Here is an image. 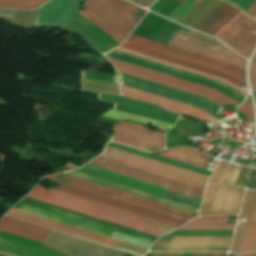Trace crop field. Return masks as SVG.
Wrapping results in <instances>:
<instances>
[{"mask_svg":"<svg viewBox=\"0 0 256 256\" xmlns=\"http://www.w3.org/2000/svg\"><path fill=\"white\" fill-rule=\"evenodd\" d=\"M89 176H93L102 180H106L112 183H116L125 187H129L138 191H142L148 194H152L160 197L165 187H161L155 184H151L142 180H138L129 176H125L119 173H115L106 169H102L92 165H85L83 168L74 170ZM161 198L169 199L172 201L180 202L194 207H200L201 198L194 197L188 194H184L178 191H174L166 188Z\"/></svg>","mask_w":256,"mask_h":256,"instance_id":"5","label":"crop field"},{"mask_svg":"<svg viewBox=\"0 0 256 256\" xmlns=\"http://www.w3.org/2000/svg\"><path fill=\"white\" fill-rule=\"evenodd\" d=\"M229 166H230L229 163H226L224 168L217 166V168H216L214 174L212 175L208 184L221 183V181H222L225 173L227 172Z\"/></svg>","mask_w":256,"mask_h":256,"instance_id":"41","label":"crop field"},{"mask_svg":"<svg viewBox=\"0 0 256 256\" xmlns=\"http://www.w3.org/2000/svg\"><path fill=\"white\" fill-rule=\"evenodd\" d=\"M105 56L112 57L121 61H125L131 64H135L144 68H148L157 72H161L170 76H174L183 80H187L193 83H197L206 87H210L216 89L223 94L239 101L242 103L246 97V95L238 92L237 90L231 88L230 86L213 79H209L206 77H202L199 75H195L192 73H188L179 69H175L163 64H159L144 58H140L125 52H121L118 50H111L108 53L104 54Z\"/></svg>","mask_w":256,"mask_h":256,"instance_id":"7","label":"crop field"},{"mask_svg":"<svg viewBox=\"0 0 256 256\" xmlns=\"http://www.w3.org/2000/svg\"><path fill=\"white\" fill-rule=\"evenodd\" d=\"M230 2L231 0H225ZM254 0H232L230 3L241 9L242 11H246V9L251 5Z\"/></svg>","mask_w":256,"mask_h":256,"instance_id":"43","label":"crop field"},{"mask_svg":"<svg viewBox=\"0 0 256 256\" xmlns=\"http://www.w3.org/2000/svg\"><path fill=\"white\" fill-rule=\"evenodd\" d=\"M99 99L103 101H108L115 103V107L113 109L169 122L175 123L177 119L180 117L179 115L167 112L161 108L152 106L150 104L134 101L124 97H117L111 95H103L99 94Z\"/></svg>","mask_w":256,"mask_h":256,"instance_id":"16","label":"crop field"},{"mask_svg":"<svg viewBox=\"0 0 256 256\" xmlns=\"http://www.w3.org/2000/svg\"><path fill=\"white\" fill-rule=\"evenodd\" d=\"M244 188L221 185L214 214H238Z\"/></svg>","mask_w":256,"mask_h":256,"instance_id":"26","label":"crop field"},{"mask_svg":"<svg viewBox=\"0 0 256 256\" xmlns=\"http://www.w3.org/2000/svg\"><path fill=\"white\" fill-rule=\"evenodd\" d=\"M86 9L126 38L140 18L139 7L124 0H87Z\"/></svg>","mask_w":256,"mask_h":256,"instance_id":"8","label":"crop field"},{"mask_svg":"<svg viewBox=\"0 0 256 256\" xmlns=\"http://www.w3.org/2000/svg\"><path fill=\"white\" fill-rule=\"evenodd\" d=\"M228 215L204 216L191 220L178 229H234L235 225H225Z\"/></svg>","mask_w":256,"mask_h":256,"instance_id":"28","label":"crop field"},{"mask_svg":"<svg viewBox=\"0 0 256 256\" xmlns=\"http://www.w3.org/2000/svg\"><path fill=\"white\" fill-rule=\"evenodd\" d=\"M0 243L14 246V247L24 249L27 251H31V252L41 254L44 256H62V255H64V254H62L44 244H42V245H44L62 255L42 246L40 243L33 242V241H30V240H27V239H24L21 237H17V236H14V235H11V234H8L5 232H1V231H0ZM3 244H0V251H2V252H6V253L13 254L16 256H41V255H37V254L31 253V252H27V251L20 250V249L10 247L7 245H3ZM64 256H66V255H64Z\"/></svg>","mask_w":256,"mask_h":256,"instance_id":"20","label":"crop field"},{"mask_svg":"<svg viewBox=\"0 0 256 256\" xmlns=\"http://www.w3.org/2000/svg\"><path fill=\"white\" fill-rule=\"evenodd\" d=\"M1 254H4V255H7V256H13V255H9V254H6V253H2V252H0Z\"/></svg>","mask_w":256,"mask_h":256,"instance_id":"52","label":"crop field"},{"mask_svg":"<svg viewBox=\"0 0 256 256\" xmlns=\"http://www.w3.org/2000/svg\"><path fill=\"white\" fill-rule=\"evenodd\" d=\"M117 77L121 84L128 85L137 89H141L150 93H154L163 97H167L176 101H180L189 105L196 106L209 114L223 120L218 115L220 110L223 108L205 98L198 97L186 92H182L170 87H166L157 83H153L141 78H137L125 73L117 71Z\"/></svg>","mask_w":256,"mask_h":256,"instance_id":"9","label":"crop field"},{"mask_svg":"<svg viewBox=\"0 0 256 256\" xmlns=\"http://www.w3.org/2000/svg\"><path fill=\"white\" fill-rule=\"evenodd\" d=\"M160 156L205 168L210 156L190 148L164 150Z\"/></svg>","mask_w":256,"mask_h":256,"instance_id":"27","label":"crop field"},{"mask_svg":"<svg viewBox=\"0 0 256 256\" xmlns=\"http://www.w3.org/2000/svg\"><path fill=\"white\" fill-rule=\"evenodd\" d=\"M81 14H83L85 17H87L89 20H91L93 23H95L97 26H99L101 29H103L105 32H107L109 35H111L113 38H115L120 43L125 39L121 35H119L117 32H115L113 29H111L109 26H107L105 23H103L101 20H99L97 17H95L93 14H91L87 10H77Z\"/></svg>","mask_w":256,"mask_h":256,"instance_id":"37","label":"crop field"},{"mask_svg":"<svg viewBox=\"0 0 256 256\" xmlns=\"http://www.w3.org/2000/svg\"><path fill=\"white\" fill-rule=\"evenodd\" d=\"M214 36L248 58L256 45V21L240 12Z\"/></svg>","mask_w":256,"mask_h":256,"instance_id":"11","label":"crop field"},{"mask_svg":"<svg viewBox=\"0 0 256 256\" xmlns=\"http://www.w3.org/2000/svg\"><path fill=\"white\" fill-rule=\"evenodd\" d=\"M255 204L256 191L246 190L230 252L241 253L244 251Z\"/></svg>","mask_w":256,"mask_h":256,"instance_id":"22","label":"crop field"},{"mask_svg":"<svg viewBox=\"0 0 256 256\" xmlns=\"http://www.w3.org/2000/svg\"><path fill=\"white\" fill-rule=\"evenodd\" d=\"M256 250V208L253 216V220L251 223L245 251H255Z\"/></svg>","mask_w":256,"mask_h":256,"instance_id":"38","label":"crop field"},{"mask_svg":"<svg viewBox=\"0 0 256 256\" xmlns=\"http://www.w3.org/2000/svg\"><path fill=\"white\" fill-rule=\"evenodd\" d=\"M253 19H255V20H256V16H255Z\"/></svg>","mask_w":256,"mask_h":256,"instance_id":"54","label":"crop field"},{"mask_svg":"<svg viewBox=\"0 0 256 256\" xmlns=\"http://www.w3.org/2000/svg\"><path fill=\"white\" fill-rule=\"evenodd\" d=\"M250 69H252L256 72V53L251 61Z\"/></svg>","mask_w":256,"mask_h":256,"instance_id":"46","label":"crop field"},{"mask_svg":"<svg viewBox=\"0 0 256 256\" xmlns=\"http://www.w3.org/2000/svg\"><path fill=\"white\" fill-rule=\"evenodd\" d=\"M250 78L256 82V73L250 71Z\"/></svg>","mask_w":256,"mask_h":256,"instance_id":"49","label":"crop field"},{"mask_svg":"<svg viewBox=\"0 0 256 256\" xmlns=\"http://www.w3.org/2000/svg\"><path fill=\"white\" fill-rule=\"evenodd\" d=\"M220 185L206 186L199 215L213 214Z\"/></svg>","mask_w":256,"mask_h":256,"instance_id":"32","label":"crop field"},{"mask_svg":"<svg viewBox=\"0 0 256 256\" xmlns=\"http://www.w3.org/2000/svg\"><path fill=\"white\" fill-rule=\"evenodd\" d=\"M154 253H147L145 256H152Z\"/></svg>","mask_w":256,"mask_h":256,"instance_id":"51","label":"crop field"},{"mask_svg":"<svg viewBox=\"0 0 256 256\" xmlns=\"http://www.w3.org/2000/svg\"><path fill=\"white\" fill-rule=\"evenodd\" d=\"M117 134L111 140L148 151L154 147L164 148V133L153 132L131 124L119 122Z\"/></svg>","mask_w":256,"mask_h":256,"instance_id":"15","label":"crop field"},{"mask_svg":"<svg viewBox=\"0 0 256 256\" xmlns=\"http://www.w3.org/2000/svg\"><path fill=\"white\" fill-rule=\"evenodd\" d=\"M201 0H185L180 4L167 18L178 22L184 17L192 8H194Z\"/></svg>","mask_w":256,"mask_h":256,"instance_id":"35","label":"crop field"},{"mask_svg":"<svg viewBox=\"0 0 256 256\" xmlns=\"http://www.w3.org/2000/svg\"><path fill=\"white\" fill-rule=\"evenodd\" d=\"M231 238L161 237L149 251H228Z\"/></svg>","mask_w":256,"mask_h":256,"instance_id":"14","label":"crop field"},{"mask_svg":"<svg viewBox=\"0 0 256 256\" xmlns=\"http://www.w3.org/2000/svg\"><path fill=\"white\" fill-rule=\"evenodd\" d=\"M247 15H249L250 17H254L256 14V1L253 3V5L248 9V11L246 12Z\"/></svg>","mask_w":256,"mask_h":256,"instance_id":"45","label":"crop field"},{"mask_svg":"<svg viewBox=\"0 0 256 256\" xmlns=\"http://www.w3.org/2000/svg\"><path fill=\"white\" fill-rule=\"evenodd\" d=\"M227 253H211L209 256H226Z\"/></svg>","mask_w":256,"mask_h":256,"instance_id":"47","label":"crop field"},{"mask_svg":"<svg viewBox=\"0 0 256 256\" xmlns=\"http://www.w3.org/2000/svg\"><path fill=\"white\" fill-rule=\"evenodd\" d=\"M0 256H4V255H1V254H0Z\"/></svg>","mask_w":256,"mask_h":256,"instance_id":"55","label":"crop field"},{"mask_svg":"<svg viewBox=\"0 0 256 256\" xmlns=\"http://www.w3.org/2000/svg\"><path fill=\"white\" fill-rule=\"evenodd\" d=\"M115 49H118V50H122V51H125V52H128V53H132V54H135V55H138V56H141V57H145V58H148V59H151V60H154V61H158V62H161V63H164V64H168V65H171V66H174V67H177V68H181V69H184V70H187V71H190V72H194V73H197V74H200V75H204V76H207V77H210V78H213V79H217V80H220L228 85H230L231 87L237 89L238 91L244 93V94H247V91L223 80V79H220V78H216V77H213V76H210V75H207V74H204V73H200V72H197V71H194V70H191V69H188V68H184V67H181V66H178V65H175V64H171V63H168V62H165V61H162V60H159V59H155V58H152V57H149V56H146V55H143V54H139V53H136V52H133V51H130V50H127V49H123V48H120V47H117Z\"/></svg>","mask_w":256,"mask_h":256,"instance_id":"36","label":"crop field"},{"mask_svg":"<svg viewBox=\"0 0 256 256\" xmlns=\"http://www.w3.org/2000/svg\"><path fill=\"white\" fill-rule=\"evenodd\" d=\"M251 88L256 92V83L250 79Z\"/></svg>","mask_w":256,"mask_h":256,"instance_id":"48","label":"crop field"},{"mask_svg":"<svg viewBox=\"0 0 256 256\" xmlns=\"http://www.w3.org/2000/svg\"><path fill=\"white\" fill-rule=\"evenodd\" d=\"M147 41L148 39L130 35L125 43L120 47L139 52ZM140 53L217 76L238 86L240 85V70L232 65L189 53L151 40L147 42ZM241 85L247 87L245 83V72L242 70Z\"/></svg>","mask_w":256,"mask_h":256,"instance_id":"2","label":"crop field"},{"mask_svg":"<svg viewBox=\"0 0 256 256\" xmlns=\"http://www.w3.org/2000/svg\"><path fill=\"white\" fill-rule=\"evenodd\" d=\"M77 6L78 0H51L41 7L34 24L67 25Z\"/></svg>","mask_w":256,"mask_h":256,"instance_id":"19","label":"crop field"},{"mask_svg":"<svg viewBox=\"0 0 256 256\" xmlns=\"http://www.w3.org/2000/svg\"><path fill=\"white\" fill-rule=\"evenodd\" d=\"M239 12L232 5L223 2L196 25L194 29L213 36Z\"/></svg>","mask_w":256,"mask_h":256,"instance_id":"24","label":"crop field"},{"mask_svg":"<svg viewBox=\"0 0 256 256\" xmlns=\"http://www.w3.org/2000/svg\"><path fill=\"white\" fill-rule=\"evenodd\" d=\"M81 71L83 73L82 78L117 83L115 76L101 74V73H95V72H89V71H83V70H81Z\"/></svg>","mask_w":256,"mask_h":256,"instance_id":"39","label":"crop field"},{"mask_svg":"<svg viewBox=\"0 0 256 256\" xmlns=\"http://www.w3.org/2000/svg\"><path fill=\"white\" fill-rule=\"evenodd\" d=\"M241 166H237V165H233L231 164L227 174L225 175L222 183L224 184H230V185H233L240 170H241Z\"/></svg>","mask_w":256,"mask_h":256,"instance_id":"40","label":"crop field"},{"mask_svg":"<svg viewBox=\"0 0 256 256\" xmlns=\"http://www.w3.org/2000/svg\"><path fill=\"white\" fill-rule=\"evenodd\" d=\"M179 1L183 2L184 0H179Z\"/></svg>","mask_w":256,"mask_h":256,"instance_id":"53","label":"crop field"},{"mask_svg":"<svg viewBox=\"0 0 256 256\" xmlns=\"http://www.w3.org/2000/svg\"><path fill=\"white\" fill-rule=\"evenodd\" d=\"M121 92L122 95H126L135 99H141V100H145L148 102H152V103H156L159 104L171 111L180 113V114H184V115H188V116H193L201 121L205 120L206 118L212 120V121H216L218 119L214 118L213 116L205 113L204 111L193 107V106H189L180 102H176L167 98H163L154 94H150L141 90H137L128 86H124L121 85Z\"/></svg>","mask_w":256,"mask_h":256,"instance_id":"18","label":"crop field"},{"mask_svg":"<svg viewBox=\"0 0 256 256\" xmlns=\"http://www.w3.org/2000/svg\"><path fill=\"white\" fill-rule=\"evenodd\" d=\"M20 203L31 205V206H34V207H37V208H41V209H44V210H47V211H51V212H54V213H57V214L67 216V217L78 219V220H81V221H84V222H88V223H91V224H94V225L105 227V228L115 230V231H118V232H121V233H125V234H128V235H132V236L142 238V239H145V240H148V241L154 242L158 238V237H154V236L144 234V233H141V232H138V231L127 229V228H124V227H121V226H117V225H114V224H111V223L100 221V220H97V219H94V218H90V217H87V216H84V215H80V214L73 213V212H70V211H67V210H63V209H60V208H57V207H53V206L46 205V204H43V203H40V202H36V201L30 200V199L24 198L23 200L20 201Z\"/></svg>","mask_w":256,"mask_h":256,"instance_id":"23","label":"crop field"},{"mask_svg":"<svg viewBox=\"0 0 256 256\" xmlns=\"http://www.w3.org/2000/svg\"><path fill=\"white\" fill-rule=\"evenodd\" d=\"M98 158H102L203 189L209 178L205 175H201L108 146L106 147L103 154Z\"/></svg>","mask_w":256,"mask_h":256,"instance_id":"3","label":"crop field"},{"mask_svg":"<svg viewBox=\"0 0 256 256\" xmlns=\"http://www.w3.org/2000/svg\"><path fill=\"white\" fill-rule=\"evenodd\" d=\"M108 146L115 147V148H118V149H121V150H125V151L131 152V153H135V154H138V155H141V156H145V157H148V158H151V159H155V160H158V161H161V162H165V163H168V164H171V165H175V166L185 168V169H188V170H191V171H195V172H198V173H201V174H205V175H208V176L211 173L210 171H206V170L196 168V167H193V166H190V165L179 163V162L169 160V159H166V158H163V157L151 155V154H148V153H145V152H142V151H138V150H135V149L123 146V145L113 143V142H109Z\"/></svg>","mask_w":256,"mask_h":256,"instance_id":"30","label":"crop field"},{"mask_svg":"<svg viewBox=\"0 0 256 256\" xmlns=\"http://www.w3.org/2000/svg\"><path fill=\"white\" fill-rule=\"evenodd\" d=\"M168 45L229 63L245 70L246 60L212 38L188 28L181 27L168 42Z\"/></svg>","mask_w":256,"mask_h":256,"instance_id":"4","label":"crop field"},{"mask_svg":"<svg viewBox=\"0 0 256 256\" xmlns=\"http://www.w3.org/2000/svg\"><path fill=\"white\" fill-rule=\"evenodd\" d=\"M27 197H31L158 236H162L176 228V226L170 224L82 199L56 190L50 189L48 191L38 185L30 194L27 195Z\"/></svg>","mask_w":256,"mask_h":256,"instance_id":"1","label":"crop field"},{"mask_svg":"<svg viewBox=\"0 0 256 256\" xmlns=\"http://www.w3.org/2000/svg\"><path fill=\"white\" fill-rule=\"evenodd\" d=\"M6 215L17 218V219H20V220H24V221H27V222H31V223H34V224H37V225H41V226H44V227L55 229V230H58V231H61V232H65V233H68V234L79 236V237H82V238H85V239H89V240H92V241L103 243V244L113 246V247H115L117 245V243L119 242V240H116V239H112V238L102 236V235H99V234H96V233H93V232H89V231L82 230V229H79V228H76V227H72V226H69V225H66V224H62V223L55 222V221L45 219V218H42V217H38V216H35V215H32V214H28V213H25V212H22V211H18L14 208H12ZM116 248H120V249H123V250H126V251H130V252H133V253H136V254H140V255H144L147 251V248H143V247L136 246V245L129 244V243H126V242H122V241H120L118 243Z\"/></svg>","mask_w":256,"mask_h":256,"instance_id":"12","label":"crop field"},{"mask_svg":"<svg viewBox=\"0 0 256 256\" xmlns=\"http://www.w3.org/2000/svg\"><path fill=\"white\" fill-rule=\"evenodd\" d=\"M237 256H256V252L248 253V254H242V255H237Z\"/></svg>","mask_w":256,"mask_h":256,"instance_id":"50","label":"crop field"},{"mask_svg":"<svg viewBox=\"0 0 256 256\" xmlns=\"http://www.w3.org/2000/svg\"><path fill=\"white\" fill-rule=\"evenodd\" d=\"M47 178L60 181L66 184H70L76 187H80L86 190H90L96 193H100L106 196L117 198L123 201H127L133 204H137L143 207H147L153 210H157L163 213H167L173 216H177L183 219L189 220L197 216V213H193L187 210H183L177 207H173L167 204H163L157 201H153L147 198H143L137 195H133L127 192H123L117 189H113V188L103 186L97 183H93L87 180H83L77 177H73L67 174L60 173Z\"/></svg>","mask_w":256,"mask_h":256,"instance_id":"6","label":"crop field"},{"mask_svg":"<svg viewBox=\"0 0 256 256\" xmlns=\"http://www.w3.org/2000/svg\"><path fill=\"white\" fill-rule=\"evenodd\" d=\"M51 181H53V180H51ZM53 182L59 184L60 186L57 189L54 188V187L52 189H56V190H59V191H62V192L72 194V195L83 197V198H86V199H89V200H93V201H96V202H99V203H103V204H106V205H109V206L120 208V209H123V210H126V211H130V212H133V213H136V214L147 216V217L157 219V220L167 222V223L177 225V226H180V225L184 224L185 222H187V220H183V219H180V218H177V217H173V216H170V215H167V214H163V213L153 211V210H150V209H147V208H143V207H140V206H137V205H133V204H130V203H127V202L116 200V199H113V198H110V197H106V196H103V195H100V194H96V193L86 191V190H83V189H80V188H76V187H73V186H70V185H66V184H63V183H60V182H56V181H53Z\"/></svg>","mask_w":256,"mask_h":256,"instance_id":"13","label":"crop field"},{"mask_svg":"<svg viewBox=\"0 0 256 256\" xmlns=\"http://www.w3.org/2000/svg\"><path fill=\"white\" fill-rule=\"evenodd\" d=\"M0 230L42 242L50 233V229L33 225L24 221L4 216Z\"/></svg>","mask_w":256,"mask_h":256,"instance_id":"25","label":"crop field"},{"mask_svg":"<svg viewBox=\"0 0 256 256\" xmlns=\"http://www.w3.org/2000/svg\"><path fill=\"white\" fill-rule=\"evenodd\" d=\"M131 1L137 3V4L141 5V6L146 5V6L149 7L156 0H131Z\"/></svg>","mask_w":256,"mask_h":256,"instance_id":"44","label":"crop field"},{"mask_svg":"<svg viewBox=\"0 0 256 256\" xmlns=\"http://www.w3.org/2000/svg\"><path fill=\"white\" fill-rule=\"evenodd\" d=\"M18 209H21V210H24V211H27V212H30V213H34V214H37V215H40V216H44V217H47V218H50V219H53V220H57V221H60V222L66 223V224H70V225H73V226H76V227H80V228H83V229H86V230H89V231H93V232H96V233H99V234H103V235H106V236H109V237L115 238V236L117 235V232L110 231V230H107V229H104V228H100V227H97V226H94V225H90V224H87V223H84V222H80V221H77V220H74V219H70V218H67V217H64V216H61V215H57V214H54V213H51V212L40 210V209H37V208H34V207H30V206H27V205H24V204H22ZM116 239H120V240H123V241H126V242H130V243L137 244V245H140V246H143V247H147V248H150V246L152 245V242H148V241H145V240H141V239L134 238V237L127 236V235H124V234H120V233H118V235L116 236Z\"/></svg>","mask_w":256,"mask_h":256,"instance_id":"21","label":"crop field"},{"mask_svg":"<svg viewBox=\"0 0 256 256\" xmlns=\"http://www.w3.org/2000/svg\"><path fill=\"white\" fill-rule=\"evenodd\" d=\"M239 111L247 115V122H253V112L251 104L243 103L239 106Z\"/></svg>","mask_w":256,"mask_h":256,"instance_id":"42","label":"crop field"},{"mask_svg":"<svg viewBox=\"0 0 256 256\" xmlns=\"http://www.w3.org/2000/svg\"><path fill=\"white\" fill-rule=\"evenodd\" d=\"M102 116H106V117H110L118 120L129 119V120H133V121H137V122H141V123H145L153 126L166 128V129H169L173 125V124H169V123H165V122H161V121H157V120H153V119H149V118H145V117H141V116H137V115H133V114H129V113L113 110V109L105 112L104 114H102Z\"/></svg>","mask_w":256,"mask_h":256,"instance_id":"31","label":"crop field"},{"mask_svg":"<svg viewBox=\"0 0 256 256\" xmlns=\"http://www.w3.org/2000/svg\"><path fill=\"white\" fill-rule=\"evenodd\" d=\"M48 0H0V8L34 9ZM24 6V7H15Z\"/></svg>","mask_w":256,"mask_h":256,"instance_id":"34","label":"crop field"},{"mask_svg":"<svg viewBox=\"0 0 256 256\" xmlns=\"http://www.w3.org/2000/svg\"><path fill=\"white\" fill-rule=\"evenodd\" d=\"M234 230H174L164 236H232Z\"/></svg>","mask_w":256,"mask_h":256,"instance_id":"33","label":"crop field"},{"mask_svg":"<svg viewBox=\"0 0 256 256\" xmlns=\"http://www.w3.org/2000/svg\"><path fill=\"white\" fill-rule=\"evenodd\" d=\"M89 164L96 165V166H99V167H102V168H106V169H109V170H112V171H115V172H119V173H122V174H125V175H129V176H132V177H135V178H139V179H142V180H145V181H148V182H152V183H155V184H158V185H162V186H165V187H168V188H171V189H175V190H178V191H181V192H184V193H188V194H191V195L193 194V192L195 190V187H191V186H188V185H185V184H181V183H178V182H175V181H171V180H168V179H165V178H161V177H158V176H155V175H151V174H148V173H145V172H141V171H138V170H135V169H131V168L121 166V165H118V164H115V163H111V162H108V161H105V160H101V159H98V158L93 159L91 162H89ZM203 192H204V190L197 188L195 193H194V196H198V197L202 198Z\"/></svg>","mask_w":256,"mask_h":256,"instance_id":"17","label":"crop field"},{"mask_svg":"<svg viewBox=\"0 0 256 256\" xmlns=\"http://www.w3.org/2000/svg\"><path fill=\"white\" fill-rule=\"evenodd\" d=\"M117 70L124 71L133 75H137L146 79H150L159 83H163L172 87H176L185 91H189L198 95L205 96L221 105L228 103H238L229 97L213 90L187 81H183L174 77H170L161 73H157L148 69H144L135 65L121 62L106 57Z\"/></svg>","mask_w":256,"mask_h":256,"instance_id":"10","label":"crop field"},{"mask_svg":"<svg viewBox=\"0 0 256 256\" xmlns=\"http://www.w3.org/2000/svg\"><path fill=\"white\" fill-rule=\"evenodd\" d=\"M64 173H67V174H70V175H73V176H77V177H80V178H83V179H87V180H90V181H93V182H97V183H100V184H103V185H107V186H110V187H113V188H117V189H120V190H123V191H127V192H130V193H133V194H137V195H140V196H143V197H147V198H150V199H153V200H157V201H160V202H163V203H167V204H170V205H173V206H177V207H180V208H183V209H187V210H190V211H193V212L198 213V211H199L198 209H195V208H191V207H188V206H185V205H181V204H178V203H175V202H171V201H168V200H165V199H161V198H158V197H155V196H151V195H148V194H145V193H142V192H138V191H135V190H132V189H128V188H125V187H122V186H118V185H115V184H112V183H109V182H105V181L95 179V178H92V177H89V176H85V175H82V174H79V173H75V172H72V171H68V172H64Z\"/></svg>","mask_w":256,"mask_h":256,"instance_id":"29","label":"crop field"}]
</instances>
